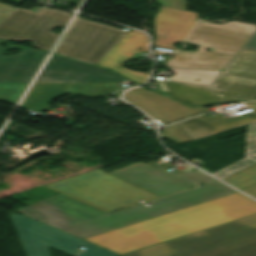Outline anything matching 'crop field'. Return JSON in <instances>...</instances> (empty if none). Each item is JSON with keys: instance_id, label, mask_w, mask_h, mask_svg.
Instances as JSON below:
<instances>
[{"instance_id": "8a807250", "label": "crop field", "mask_w": 256, "mask_h": 256, "mask_svg": "<svg viewBox=\"0 0 256 256\" xmlns=\"http://www.w3.org/2000/svg\"><path fill=\"white\" fill-rule=\"evenodd\" d=\"M236 192L216 181L154 202L107 214L63 194L14 210L83 239Z\"/></svg>"}, {"instance_id": "ac0d7876", "label": "crop field", "mask_w": 256, "mask_h": 256, "mask_svg": "<svg viewBox=\"0 0 256 256\" xmlns=\"http://www.w3.org/2000/svg\"><path fill=\"white\" fill-rule=\"evenodd\" d=\"M255 213L256 202L237 192L85 240L125 254Z\"/></svg>"}, {"instance_id": "34b2d1b8", "label": "crop field", "mask_w": 256, "mask_h": 256, "mask_svg": "<svg viewBox=\"0 0 256 256\" xmlns=\"http://www.w3.org/2000/svg\"><path fill=\"white\" fill-rule=\"evenodd\" d=\"M180 250L191 256H256V215L123 256H164Z\"/></svg>"}, {"instance_id": "412701ff", "label": "crop field", "mask_w": 256, "mask_h": 256, "mask_svg": "<svg viewBox=\"0 0 256 256\" xmlns=\"http://www.w3.org/2000/svg\"><path fill=\"white\" fill-rule=\"evenodd\" d=\"M163 82L171 99L191 107L256 99V34L212 86Z\"/></svg>"}, {"instance_id": "f4fd0767", "label": "crop field", "mask_w": 256, "mask_h": 256, "mask_svg": "<svg viewBox=\"0 0 256 256\" xmlns=\"http://www.w3.org/2000/svg\"><path fill=\"white\" fill-rule=\"evenodd\" d=\"M255 31V25L236 21L223 25L197 22L184 41L200 45L197 51L175 52L174 58L166 59V67L223 70Z\"/></svg>"}, {"instance_id": "dd49c442", "label": "crop field", "mask_w": 256, "mask_h": 256, "mask_svg": "<svg viewBox=\"0 0 256 256\" xmlns=\"http://www.w3.org/2000/svg\"><path fill=\"white\" fill-rule=\"evenodd\" d=\"M44 186L107 213L160 197L100 169Z\"/></svg>"}, {"instance_id": "e52e79f7", "label": "crop field", "mask_w": 256, "mask_h": 256, "mask_svg": "<svg viewBox=\"0 0 256 256\" xmlns=\"http://www.w3.org/2000/svg\"><path fill=\"white\" fill-rule=\"evenodd\" d=\"M9 217L26 256H51L48 246L70 256L81 252V246L87 249L78 256L119 255L23 215L12 212Z\"/></svg>"}, {"instance_id": "d8731c3e", "label": "crop field", "mask_w": 256, "mask_h": 256, "mask_svg": "<svg viewBox=\"0 0 256 256\" xmlns=\"http://www.w3.org/2000/svg\"><path fill=\"white\" fill-rule=\"evenodd\" d=\"M71 14L42 9L38 13L17 8L0 24V38L33 42L32 48L49 51L57 34L55 27H64Z\"/></svg>"}, {"instance_id": "5a996713", "label": "crop field", "mask_w": 256, "mask_h": 256, "mask_svg": "<svg viewBox=\"0 0 256 256\" xmlns=\"http://www.w3.org/2000/svg\"><path fill=\"white\" fill-rule=\"evenodd\" d=\"M126 34L76 17L55 53L96 64Z\"/></svg>"}, {"instance_id": "3316defc", "label": "crop field", "mask_w": 256, "mask_h": 256, "mask_svg": "<svg viewBox=\"0 0 256 256\" xmlns=\"http://www.w3.org/2000/svg\"><path fill=\"white\" fill-rule=\"evenodd\" d=\"M109 174L160 196L196 186L143 162Z\"/></svg>"}, {"instance_id": "28ad6ade", "label": "crop field", "mask_w": 256, "mask_h": 256, "mask_svg": "<svg viewBox=\"0 0 256 256\" xmlns=\"http://www.w3.org/2000/svg\"><path fill=\"white\" fill-rule=\"evenodd\" d=\"M198 13L159 7L154 18L156 39L153 46L176 50L175 42H182L189 33Z\"/></svg>"}, {"instance_id": "d1516ede", "label": "crop field", "mask_w": 256, "mask_h": 256, "mask_svg": "<svg viewBox=\"0 0 256 256\" xmlns=\"http://www.w3.org/2000/svg\"><path fill=\"white\" fill-rule=\"evenodd\" d=\"M147 45L148 37L145 34L131 30L97 65L109 68L139 84L145 83L148 75L132 72L121 66L135 53L147 51Z\"/></svg>"}, {"instance_id": "22f410ed", "label": "crop field", "mask_w": 256, "mask_h": 256, "mask_svg": "<svg viewBox=\"0 0 256 256\" xmlns=\"http://www.w3.org/2000/svg\"><path fill=\"white\" fill-rule=\"evenodd\" d=\"M0 40V82L30 83L47 53L24 48L17 56H4Z\"/></svg>"}, {"instance_id": "cbeb9de0", "label": "crop field", "mask_w": 256, "mask_h": 256, "mask_svg": "<svg viewBox=\"0 0 256 256\" xmlns=\"http://www.w3.org/2000/svg\"><path fill=\"white\" fill-rule=\"evenodd\" d=\"M254 112L223 118L220 115H206L191 118L181 122L193 139L209 136L227 130L256 123V101L246 102Z\"/></svg>"}, {"instance_id": "5142ce71", "label": "crop field", "mask_w": 256, "mask_h": 256, "mask_svg": "<svg viewBox=\"0 0 256 256\" xmlns=\"http://www.w3.org/2000/svg\"><path fill=\"white\" fill-rule=\"evenodd\" d=\"M97 69L96 66L53 55L36 82L77 83Z\"/></svg>"}, {"instance_id": "d9b57169", "label": "crop field", "mask_w": 256, "mask_h": 256, "mask_svg": "<svg viewBox=\"0 0 256 256\" xmlns=\"http://www.w3.org/2000/svg\"><path fill=\"white\" fill-rule=\"evenodd\" d=\"M124 97H127L128 102L148 113L161 125L178 120L162 97L145 88L130 90Z\"/></svg>"}, {"instance_id": "733c2abd", "label": "crop field", "mask_w": 256, "mask_h": 256, "mask_svg": "<svg viewBox=\"0 0 256 256\" xmlns=\"http://www.w3.org/2000/svg\"><path fill=\"white\" fill-rule=\"evenodd\" d=\"M73 84L34 83L20 107L41 113L46 105L64 94Z\"/></svg>"}, {"instance_id": "4a817a6b", "label": "crop field", "mask_w": 256, "mask_h": 256, "mask_svg": "<svg viewBox=\"0 0 256 256\" xmlns=\"http://www.w3.org/2000/svg\"><path fill=\"white\" fill-rule=\"evenodd\" d=\"M173 73L175 76L171 77L170 80L187 82V83H195L202 85H210L214 82L217 76L222 71H211V70H192V69H178V68H167ZM193 79H201L199 82L194 81Z\"/></svg>"}, {"instance_id": "bc2a9ffb", "label": "crop field", "mask_w": 256, "mask_h": 256, "mask_svg": "<svg viewBox=\"0 0 256 256\" xmlns=\"http://www.w3.org/2000/svg\"><path fill=\"white\" fill-rule=\"evenodd\" d=\"M222 180L239 190H243L256 183V164L234 173Z\"/></svg>"}, {"instance_id": "214f88e0", "label": "crop field", "mask_w": 256, "mask_h": 256, "mask_svg": "<svg viewBox=\"0 0 256 256\" xmlns=\"http://www.w3.org/2000/svg\"><path fill=\"white\" fill-rule=\"evenodd\" d=\"M121 87L117 85L75 84L66 89L65 93H74L85 96H102Z\"/></svg>"}, {"instance_id": "92a150f3", "label": "crop field", "mask_w": 256, "mask_h": 256, "mask_svg": "<svg viewBox=\"0 0 256 256\" xmlns=\"http://www.w3.org/2000/svg\"><path fill=\"white\" fill-rule=\"evenodd\" d=\"M28 84L0 83V100L16 105Z\"/></svg>"}, {"instance_id": "dafd665d", "label": "crop field", "mask_w": 256, "mask_h": 256, "mask_svg": "<svg viewBox=\"0 0 256 256\" xmlns=\"http://www.w3.org/2000/svg\"><path fill=\"white\" fill-rule=\"evenodd\" d=\"M124 77L106 70L99 68L95 73H93L89 78L79 82V83H97V84H116L120 81H125Z\"/></svg>"}, {"instance_id": "00972430", "label": "crop field", "mask_w": 256, "mask_h": 256, "mask_svg": "<svg viewBox=\"0 0 256 256\" xmlns=\"http://www.w3.org/2000/svg\"><path fill=\"white\" fill-rule=\"evenodd\" d=\"M161 136L178 143L193 140L181 123L167 127Z\"/></svg>"}, {"instance_id": "a9b5d70f", "label": "crop field", "mask_w": 256, "mask_h": 256, "mask_svg": "<svg viewBox=\"0 0 256 256\" xmlns=\"http://www.w3.org/2000/svg\"><path fill=\"white\" fill-rule=\"evenodd\" d=\"M164 100L167 102V104L170 106V108L173 110V112L176 114V116L179 118V120L206 112L204 107L191 109L187 106H184V105L174 102L172 100H169L166 98H164Z\"/></svg>"}, {"instance_id": "4177f3b9", "label": "crop field", "mask_w": 256, "mask_h": 256, "mask_svg": "<svg viewBox=\"0 0 256 256\" xmlns=\"http://www.w3.org/2000/svg\"><path fill=\"white\" fill-rule=\"evenodd\" d=\"M254 163H256V153L220 170V172L222 173V175L224 177H226V176H228L234 172H237V171H239L249 165H252ZM224 177H222V178H224ZM222 178H220V179H222Z\"/></svg>"}, {"instance_id": "730fd06b", "label": "crop field", "mask_w": 256, "mask_h": 256, "mask_svg": "<svg viewBox=\"0 0 256 256\" xmlns=\"http://www.w3.org/2000/svg\"><path fill=\"white\" fill-rule=\"evenodd\" d=\"M179 176L182 177V178H185L189 181H192V182H194L198 185L215 181V179L209 177L208 175L204 174L201 171L190 172V173L182 174V175H179Z\"/></svg>"}, {"instance_id": "eef30255", "label": "crop field", "mask_w": 256, "mask_h": 256, "mask_svg": "<svg viewBox=\"0 0 256 256\" xmlns=\"http://www.w3.org/2000/svg\"><path fill=\"white\" fill-rule=\"evenodd\" d=\"M256 152V124L248 126L246 157Z\"/></svg>"}, {"instance_id": "ae1a2a85", "label": "crop field", "mask_w": 256, "mask_h": 256, "mask_svg": "<svg viewBox=\"0 0 256 256\" xmlns=\"http://www.w3.org/2000/svg\"><path fill=\"white\" fill-rule=\"evenodd\" d=\"M187 0H158L159 5L186 10Z\"/></svg>"}, {"instance_id": "d3111659", "label": "crop field", "mask_w": 256, "mask_h": 256, "mask_svg": "<svg viewBox=\"0 0 256 256\" xmlns=\"http://www.w3.org/2000/svg\"><path fill=\"white\" fill-rule=\"evenodd\" d=\"M17 7L0 3V23L11 14Z\"/></svg>"}, {"instance_id": "750c4746", "label": "crop field", "mask_w": 256, "mask_h": 256, "mask_svg": "<svg viewBox=\"0 0 256 256\" xmlns=\"http://www.w3.org/2000/svg\"><path fill=\"white\" fill-rule=\"evenodd\" d=\"M243 191L249 194L250 196L256 198V184Z\"/></svg>"}, {"instance_id": "bd1437ed", "label": "crop field", "mask_w": 256, "mask_h": 256, "mask_svg": "<svg viewBox=\"0 0 256 256\" xmlns=\"http://www.w3.org/2000/svg\"><path fill=\"white\" fill-rule=\"evenodd\" d=\"M167 256H189V255H187L186 253L180 251V252L173 253V254H170V255H167Z\"/></svg>"}, {"instance_id": "1d83c4d3", "label": "crop field", "mask_w": 256, "mask_h": 256, "mask_svg": "<svg viewBox=\"0 0 256 256\" xmlns=\"http://www.w3.org/2000/svg\"><path fill=\"white\" fill-rule=\"evenodd\" d=\"M121 256V255H120Z\"/></svg>"}]
</instances>
